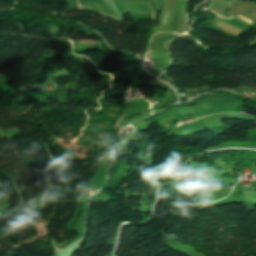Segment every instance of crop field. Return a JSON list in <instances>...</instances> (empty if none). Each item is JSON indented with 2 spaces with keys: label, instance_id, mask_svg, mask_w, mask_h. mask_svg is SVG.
<instances>
[{
  "label": "crop field",
  "instance_id": "obj_1",
  "mask_svg": "<svg viewBox=\"0 0 256 256\" xmlns=\"http://www.w3.org/2000/svg\"><path fill=\"white\" fill-rule=\"evenodd\" d=\"M81 9H88L96 11L100 14L109 16L115 20H118V17L114 14L112 9L103 1V0H79ZM78 4V1H77ZM79 8V4H78ZM80 9V8H79Z\"/></svg>",
  "mask_w": 256,
  "mask_h": 256
}]
</instances>
